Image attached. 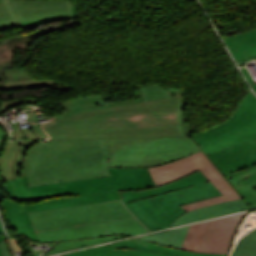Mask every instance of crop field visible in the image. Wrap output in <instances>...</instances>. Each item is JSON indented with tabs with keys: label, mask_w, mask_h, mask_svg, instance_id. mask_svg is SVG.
Returning a JSON list of instances; mask_svg holds the SVG:
<instances>
[{
	"label": "crop field",
	"mask_w": 256,
	"mask_h": 256,
	"mask_svg": "<svg viewBox=\"0 0 256 256\" xmlns=\"http://www.w3.org/2000/svg\"><path fill=\"white\" fill-rule=\"evenodd\" d=\"M28 149L29 186L108 176L107 167H154L200 151L191 138L43 141ZM66 171V173H64Z\"/></svg>",
	"instance_id": "obj_1"
},
{
	"label": "crop field",
	"mask_w": 256,
	"mask_h": 256,
	"mask_svg": "<svg viewBox=\"0 0 256 256\" xmlns=\"http://www.w3.org/2000/svg\"><path fill=\"white\" fill-rule=\"evenodd\" d=\"M182 96L94 109L38 124L49 140L184 136Z\"/></svg>",
	"instance_id": "obj_2"
},
{
	"label": "crop field",
	"mask_w": 256,
	"mask_h": 256,
	"mask_svg": "<svg viewBox=\"0 0 256 256\" xmlns=\"http://www.w3.org/2000/svg\"><path fill=\"white\" fill-rule=\"evenodd\" d=\"M190 136L249 208L256 207V97L252 92L224 123Z\"/></svg>",
	"instance_id": "obj_3"
},
{
	"label": "crop field",
	"mask_w": 256,
	"mask_h": 256,
	"mask_svg": "<svg viewBox=\"0 0 256 256\" xmlns=\"http://www.w3.org/2000/svg\"><path fill=\"white\" fill-rule=\"evenodd\" d=\"M111 176L74 182L29 187L35 199L57 195H85L113 190H138L154 187L147 168H109Z\"/></svg>",
	"instance_id": "obj_4"
},
{
	"label": "crop field",
	"mask_w": 256,
	"mask_h": 256,
	"mask_svg": "<svg viewBox=\"0 0 256 256\" xmlns=\"http://www.w3.org/2000/svg\"><path fill=\"white\" fill-rule=\"evenodd\" d=\"M29 216L36 231L135 217L120 200L32 212Z\"/></svg>",
	"instance_id": "obj_5"
},
{
	"label": "crop field",
	"mask_w": 256,
	"mask_h": 256,
	"mask_svg": "<svg viewBox=\"0 0 256 256\" xmlns=\"http://www.w3.org/2000/svg\"><path fill=\"white\" fill-rule=\"evenodd\" d=\"M148 169L156 186L166 184L200 169L215 187L222 192L223 195L221 196L182 206L187 212L204 206L241 198L202 151L170 164Z\"/></svg>",
	"instance_id": "obj_6"
},
{
	"label": "crop field",
	"mask_w": 256,
	"mask_h": 256,
	"mask_svg": "<svg viewBox=\"0 0 256 256\" xmlns=\"http://www.w3.org/2000/svg\"><path fill=\"white\" fill-rule=\"evenodd\" d=\"M245 214L246 212L191 225L181 249L226 254L235 227Z\"/></svg>",
	"instance_id": "obj_7"
},
{
	"label": "crop field",
	"mask_w": 256,
	"mask_h": 256,
	"mask_svg": "<svg viewBox=\"0 0 256 256\" xmlns=\"http://www.w3.org/2000/svg\"><path fill=\"white\" fill-rule=\"evenodd\" d=\"M149 232L137 218L125 219L86 226L36 232L40 242H60L111 235L134 236Z\"/></svg>",
	"instance_id": "obj_8"
},
{
	"label": "crop field",
	"mask_w": 256,
	"mask_h": 256,
	"mask_svg": "<svg viewBox=\"0 0 256 256\" xmlns=\"http://www.w3.org/2000/svg\"><path fill=\"white\" fill-rule=\"evenodd\" d=\"M61 256H228L195 253L147 242L139 238L129 239Z\"/></svg>",
	"instance_id": "obj_9"
},
{
	"label": "crop field",
	"mask_w": 256,
	"mask_h": 256,
	"mask_svg": "<svg viewBox=\"0 0 256 256\" xmlns=\"http://www.w3.org/2000/svg\"><path fill=\"white\" fill-rule=\"evenodd\" d=\"M66 15H72L67 0H0V25Z\"/></svg>",
	"instance_id": "obj_10"
},
{
	"label": "crop field",
	"mask_w": 256,
	"mask_h": 256,
	"mask_svg": "<svg viewBox=\"0 0 256 256\" xmlns=\"http://www.w3.org/2000/svg\"><path fill=\"white\" fill-rule=\"evenodd\" d=\"M218 195H221V192L208 181L201 185L160 194L155 197L177 219L185 213L180 206Z\"/></svg>",
	"instance_id": "obj_11"
},
{
	"label": "crop field",
	"mask_w": 256,
	"mask_h": 256,
	"mask_svg": "<svg viewBox=\"0 0 256 256\" xmlns=\"http://www.w3.org/2000/svg\"><path fill=\"white\" fill-rule=\"evenodd\" d=\"M126 206L150 231L167 228L176 220L154 196L133 201Z\"/></svg>",
	"instance_id": "obj_12"
},
{
	"label": "crop field",
	"mask_w": 256,
	"mask_h": 256,
	"mask_svg": "<svg viewBox=\"0 0 256 256\" xmlns=\"http://www.w3.org/2000/svg\"><path fill=\"white\" fill-rule=\"evenodd\" d=\"M139 91H140L141 98H139L136 101H129L125 103L105 104L104 98L102 96H89V97H81L76 100L66 102L65 104H66L68 114H72V113L82 112V111H86V110H90L98 107L121 105V104L133 103V102H140V101L149 100V99L169 97L167 92L163 90L162 87L159 85L143 87L139 89ZM68 114H65V115H68ZM65 115L44 119V121L52 120Z\"/></svg>",
	"instance_id": "obj_13"
},
{
	"label": "crop field",
	"mask_w": 256,
	"mask_h": 256,
	"mask_svg": "<svg viewBox=\"0 0 256 256\" xmlns=\"http://www.w3.org/2000/svg\"><path fill=\"white\" fill-rule=\"evenodd\" d=\"M39 141H13L5 146V153L0 157L1 178L5 180L18 178L28 147Z\"/></svg>",
	"instance_id": "obj_14"
},
{
	"label": "crop field",
	"mask_w": 256,
	"mask_h": 256,
	"mask_svg": "<svg viewBox=\"0 0 256 256\" xmlns=\"http://www.w3.org/2000/svg\"><path fill=\"white\" fill-rule=\"evenodd\" d=\"M206 181H208V179L200 171H198L196 173L187 175L183 178H180L166 185L145 189V190H139V191H117V192L120 198L126 204L136 199L145 198V197H149V196L160 194V193H166L169 191H173V190H177V189H181L189 186H194L196 184H200Z\"/></svg>",
	"instance_id": "obj_15"
},
{
	"label": "crop field",
	"mask_w": 256,
	"mask_h": 256,
	"mask_svg": "<svg viewBox=\"0 0 256 256\" xmlns=\"http://www.w3.org/2000/svg\"><path fill=\"white\" fill-rule=\"evenodd\" d=\"M249 209L243 199L224 202L222 204L213 205L198 210L190 211L180 216L170 227L191 223L197 220L207 219L223 214L238 212Z\"/></svg>",
	"instance_id": "obj_16"
},
{
	"label": "crop field",
	"mask_w": 256,
	"mask_h": 256,
	"mask_svg": "<svg viewBox=\"0 0 256 256\" xmlns=\"http://www.w3.org/2000/svg\"><path fill=\"white\" fill-rule=\"evenodd\" d=\"M2 207L6 212V221L9 225L14 227L19 234L39 242L25 205L15 204L11 200L4 199Z\"/></svg>",
	"instance_id": "obj_17"
},
{
	"label": "crop field",
	"mask_w": 256,
	"mask_h": 256,
	"mask_svg": "<svg viewBox=\"0 0 256 256\" xmlns=\"http://www.w3.org/2000/svg\"><path fill=\"white\" fill-rule=\"evenodd\" d=\"M120 199L117 192H106L92 195H85L80 197H66L61 199H55L50 201H43L38 204L26 205L28 212L31 211H39V210H47L59 207H66L72 205H79L85 203H92L98 201H106V200H116Z\"/></svg>",
	"instance_id": "obj_18"
},
{
	"label": "crop field",
	"mask_w": 256,
	"mask_h": 256,
	"mask_svg": "<svg viewBox=\"0 0 256 256\" xmlns=\"http://www.w3.org/2000/svg\"><path fill=\"white\" fill-rule=\"evenodd\" d=\"M188 227L189 226L168 230L166 232L147 235L139 238L180 249Z\"/></svg>",
	"instance_id": "obj_19"
},
{
	"label": "crop field",
	"mask_w": 256,
	"mask_h": 256,
	"mask_svg": "<svg viewBox=\"0 0 256 256\" xmlns=\"http://www.w3.org/2000/svg\"><path fill=\"white\" fill-rule=\"evenodd\" d=\"M4 190L7 196L12 199H17L20 201L33 200L28 188V182L26 177L6 181Z\"/></svg>",
	"instance_id": "obj_20"
},
{
	"label": "crop field",
	"mask_w": 256,
	"mask_h": 256,
	"mask_svg": "<svg viewBox=\"0 0 256 256\" xmlns=\"http://www.w3.org/2000/svg\"><path fill=\"white\" fill-rule=\"evenodd\" d=\"M127 236H112V237H104V238H98V239H85V240H78V241H70V242H61L58 243L50 252L42 255H50V254H55V253H61V252H66L98 243H103V242H108L120 238H124Z\"/></svg>",
	"instance_id": "obj_21"
},
{
	"label": "crop field",
	"mask_w": 256,
	"mask_h": 256,
	"mask_svg": "<svg viewBox=\"0 0 256 256\" xmlns=\"http://www.w3.org/2000/svg\"><path fill=\"white\" fill-rule=\"evenodd\" d=\"M230 52L256 43V29L223 38Z\"/></svg>",
	"instance_id": "obj_22"
},
{
	"label": "crop field",
	"mask_w": 256,
	"mask_h": 256,
	"mask_svg": "<svg viewBox=\"0 0 256 256\" xmlns=\"http://www.w3.org/2000/svg\"><path fill=\"white\" fill-rule=\"evenodd\" d=\"M232 256H256V231L238 241Z\"/></svg>",
	"instance_id": "obj_23"
},
{
	"label": "crop field",
	"mask_w": 256,
	"mask_h": 256,
	"mask_svg": "<svg viewBox=\"0 0 256 256\" xmlns=\"http://www.w3.org/2000/svg\"><path fill=\"white\" fill-rule=\"evenodd\" d=\"M72 11H73V16L57 17V18H49V19H41V20H33V21L12 23V24H8V25L0 26V29H6V28L22 25L24 30H28V29L35 28V27H37V26H39L43 23L49 22V21L79 18L78 7L77 6H72Z\"/></svg>",
	"instance_id": "obj_24"
},
{
	"label": "crop field",
	"mask_w": 256,
	"mask_h": 256,
	"mask_svg": "<svg viewBox=\"0 0 256 256\" xmlns=\"http://www.w3.org/2000/svg\"><path fill=\"white\" fill-rule=\"evenodd\" d=\"M57 82L52 80H18V81H4L0 90H11V89H19V88H27V87H39V86H49L55 84Z\"/></svg>",
	"instance_id": "obj_25"
},
{
	"label": "crop field",
	"mask_w": 256,
	"mask_h": 256,
	"mask_svg": "<svg viewBox=\"0 0 256 256\" xmlns=\"http://www.w3.org/2000/svg\"><path fill=\"white\" fill-rule=\"evenodd\" d=\"M32 110H26L23 113H27V120L30 127L23 128L22 131L26 137V139H45V134L39 128V126L35 123V111L29 113Z\"/></svg>",
	"instance_id": "obj_26"
},
{
	"label": "crop field",
	"mask_w": 256,
	"mask_h": 256,
	"mask_svg": "<svg viewBox=\"0 0 256 256\" xmlns=\"http://www.w3.org/2000/svg\"><path fill=\"white\" fill-rule=\"evenodd\" d=\"M232 55L234 56L237 62L242 61L244 59L256 57V44L234 51L232 52Z\"/></svg>",
	"instance_id": "obj_27"
},
{
	"label": "crop field",
	"mask_w": 256,
	"mask_h": 256,
	"mask_svg": "<svg viewBox=\"0 0 256 256\" xmlns=\"http://www.w3.org/2000/svg\"><path fill=\"white\" fill-rule=\"evenodd\" d=\"M36 99H37V98L22 99V100H14V101H6V102H3V106H2V108L0 109V113H1L3 110H5L6 108L10 107V106L17 105V104H21V103H24V102H36Z\"/></svg>",
	"instance_id": "obj_28"
},
{
	"label": "crop field",
	"mask_w": 256,
	"mask_h": 256,
	"mask_svg": "<svg viewBox=\"0 0 256 256\" xmlns=\"http://www.w3.org/2000/svg\"><path fill=\"white\" fill-rule=\"evenodd\" d=\"M186 101H187V97H183V105H182V122H183V125H184V130H185V136H188L190 137L188 134L194 132L193 129L191 128V126L188 124V122L185 120V117H184V111H183V108L186 104Z\"/></svg>",
	"instance_id": "obj_29"
},
{
	"label": "crop field",
	"mask_w": 256,
	"mask_h": 256,
	"mask_svg": "<svg viewBox=\"0 0 256 256\" xmlns=\"http://www.w3.org/2000/svg\"><path fill=\"white\" fill-rule=\"evenodd\" d=\"M0 249L2 252V256H11L6 240L0 243Z\"/></svg>",
	"instance_id": "obj_30"
},
{
	"label": "crop field",
	"mask_w": 256,
	"mask_h": 256,
	"mask_svg": "<svg viewBox=\"0 0 256 256\" xmlns=\"http://www.w3.org/2000/svg\"><path fill=\"white\" fill-rule=\"evenodd\" d=\"M243 73L245 74L247 80L249 81L250 85L253 87V89L256 91V85L254 84L252 78L250 77L249 73L247 72L246 68H241Z\"/></svg>",
	"instance_id": "obj_31"
},
{
	"label": "crop field",
	"mask_w": 256,
	"mask_h": 256,
	"mask_svg": "<svg viewBox=\"0 0 256 256\" xmlns=\"http://www.w3.org/2000/svg\"><path fill=\"white\" fill-rule=\"evenodd\" d=\"M12 135L14 139H20L22 136H24L21 129L14 130V132H12Z\"/></svg>",
	"instance_id": "obj_32"
},
{
	"label": "crop field",
	"mask_w": 256,
	"mask_h": 256,
	"mask_svg": "<svg viewBox=\"0 0 256 256\" xmlns=\"http://www.w3.org/2000/svg\"><path fill=\"white\" fill-rule=\"evenodd\" d=\"M3 239H5L2 228L0 226V241H2ZM0 256H1V252H0Z\"/></svg>",
	"instance_id": "obj_33"
},
{
	"label": "crop field",
	"mask_w": 256,
	"mask_h": 256,
	"mask_svg": "<svg viewBox=\"0 0 256 256\" xmlns=\"http://www.w3.org/2000/svg\"><path fill=\"white\" fill-rule=\"evenodd\" d=\"M4 138H5V136H4L3 132L0 129V139H4Z\"/></svg>",
	"instance_id": "obj_34"
},
{
	"label": "crop field",
	"mask_w": 256,
	"mask_h": 256,
	"mask_svg": "<svg viewBox=\"0 0 256 256\" xmlns=\"http://www.w3.org/2000/svg\"><path fill=\"white\" fill-rule=\"evenodd\" d=\"M4 141H0V151L2 149V144H3Z\"/></svg>",
	"instance_id": "obj_35"
}]
</instances>
